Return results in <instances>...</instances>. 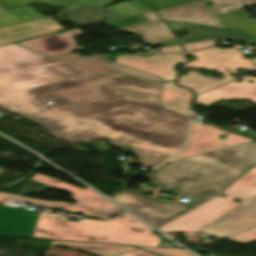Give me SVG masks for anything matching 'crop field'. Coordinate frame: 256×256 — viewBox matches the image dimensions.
I'll return each mask as SVG.
<instances>
[{"instance_id":"crop-field-1","label":"crop field","mask_w":256,"mask_h":256,"mask_svg":"<svg viewBox=\"0 0 256 256\" xmlns=\"http://www.w3.org/2000/svg\"><path fill=\"white\" fill-rule=\"evenodd\" d=\"M163 86L122 74L97 76L1 92L0 107L71 142L114 140L160 118Z\"/></svg>"},{"instance_id":"crop-field-2","label":"crop field","mask_w":256,"mask_h":256,"mask_svg":"<svg viewBox=\"0 0 256 256\" xmlns=\"http://www.w3.org/2000/svg\"><path fill=\"white\" fill-rule=\"evenodd\" d=\"M254 166L256 141L165 163L148 174L161 186V191H176L189 198L193 202L191 205L142 197L135 189L123 190L112 200L157 228L219 194ZM172 186L176 187L171 189ZM201 194L205 196L200 197Z\"/></svg>"},{"instance_id":"crop-field-3","label":"crop field","mask_w":256,"mask_h":256,"mask_svg":"<svg viewBox=\"0 0 256 256\" xmlns=\"http://www.w3.org/2000/svg\"><path fill=\"white\" fill-rule=\"evenodd\" d=\"M151 232V228L127 213L109 222L84 220L79 223L40 213L33 237L156 247L160 241Z\"/></svg>"},{"instance_id":"crop-field-4","label":"crop field","mask_w":256,"mask_h":256,"mask_svg":"<svg viewBox=\"0 0 256 256\" xmlns=\"http://www.w3.org/2000/svg\"><path fill=\"white\" fill-rule=\"evenodd\" d=\"M191 119L162 108L160 120L111 141L110 145L129 146L136 151L139 164L154 168L184 146Z\"/></svg>"},{"instance_id":"crop-field-5","label":"crop field","mask_w":256,"mask_h":256,"mask_svg":"<svg viewBox=\"0 0 256 256\" xmlns=\"http://www.w3.org/2000/svg\"><path fill=\"white\" fill-rule=\"evenodd\" d=\"M211 45L214 46V40L187 44L184 45V47L187 52ZM189 54L196 56L198 60L185 64L186 68L217 70L225 75L223 81L212 80L194 72H190L186 76H180L178 84L194 90L196 95L233 81L234 79L228 74H237L238 72L236 71V68L256 71V66L253 64L252 60L244 59V55L239 49H218L214 46L189 52Z\"/></svg>"},{"instance_id":"crop-field-6","label":"crop field","mask_w":256,"mask_h":256,"mask_svg":"<svg viewBox=\"0 0 256 256\" xmlns=\"http://www.w3.org/2000/svg\"><path fill=\"white\" fill-rule=\"evenodd\" d=\"M32 180H35L43 184L74 194L73 196H71V198L75 200L79 205H70L68 203H63V202H47V201H41L36 199L17 197L15 195L5 194V193H0V201L3 200L5 197H8V198H13L18 200H24V201H27L29 204L38 206V207H43L47 209L54 208V209L76 212V213L83 214L86 217L102 219V220L110 219L114 215L123 211L88 188L83 190L40 174H37ZM94 198H98V199L95 200Z\"/></svg>"},{"instance_id":"crop-field-7","label":"crop field","mask_w":256,"mask_h":256,"mask_svg":"<svg viewBox=\"0 0 256 256\" xmlns=\"http://www.w3.org/2000/svg\"><path fill=\"white\" fill-rule=\"evenodd\" d=\"M96 76L73 64L0 75V91Z\"/></svg>"},{"instance_id":"crop-field-8","label":"crop field","mask_w":256,"mask_h":256,"mask_svg":"<svg viewBox=\"0 0 256 256\" xmlns=\"http://www.w3.org/2000/svg\"><path fill=\"white\" fill-rule=\"evenodd\" d=\"M221 195L222 194H219L213 197L204 204L198 205L199 207L157 229L165 233L170 230L195 232L222 217L237 206L248 202L240 199L241 201L239 203H235L233 201V199H235L234 197L227 196V198H223Z\"/></svg>"},{"instance_id":"crop-field-9","label":"crop field","mask_w":256,"mask_h":256,"mask_svg":"<svg viewBox=\"0 0 256 256\" xmlns=\"http://www.w3.org/2000/svg\"><path fill=\"white\" fill-rule=\"evenodd\" d=\"M224 133H227V138L226 140H221L217 135ZM250 141L254 140L225 132L212 125H203L193 122L187 147L167 162Z\"/></svg>"},{"instance_id":"crop-field-10","label":"crop field","mask_w":256,"mask_h":256,"mask_svg":"<svg viewBox=\"0 0 256 256\" xmlns=\"http://www.w3.org/2000/svg\"><path fill=\"white\" fill-rule=\"evenodd\" d=\"M163 53L182 52L181 46L161 49ZM116 62L134 69L152 73L162 77L164 81L176 80L177 72L173 70L176 63L186 62L182 54L156 55L155 57L141 58L139 56H119Z\"/></svg>"},{"instance_id":"crop-field-11","label":"crop field","mask_w":256,"mask_h":256,"mask_svg":"<svg viewBox=\"0 0 256 256\" xmlns=\"http://www.w3.org/2000/svg\"><path fill=\"white\" fill-rule=\"evenodd\" d=\"M254 226H256V196L247 204L239 206L199 231L227 238Z\"/></svg>"},{"instance_id":"crop-field-12","label":"crop field","mask_w":256,"mask_h":256,"mask_svg":"<svg viewBox=\"0 0 256 256\" xmlns=\"http://www.w3.org/2000/svg\"><path fill=\"white\" fill-rule=\"evenodd\" d=\"M39 212L0 206V236L32 237Z\"/></svg>"},{"instance_id":"crop-field-13","label":"crop field","mask_w":256,"mask_h":256,"mask_svg":"<svg viewBox=\"0 0 256 256\" xmlns=\"http://www.w3.org/2000/svg\"><path fill=\"white\" fill-rule=\"evenodd\" d=\"M213 2L210 6L214 14L224 23L227 28H238L251 35L256 36V22L247 18L248 15L239 11L245 5L254 6L256 0H244L247 3H241L240 0H204Z\"/></svg>"},{"instance_id":"crop-field-14","label":"crop field","mask_w":256,"mask_h":256,"mask_svg":"<svg viewBox=\"0 0 256 256\" xmlns=\"http://www.w3.org/2000/svg\"><path fill=\"white\" fill-rule=\"evenodd\" d=\"M157 12L164 21H184L224 27L203 0L158 10Z\"/></svg>"},{"instance_id":"crop-field-15","label":"crop field","mask_w":256,"mask_h":256,"mask_svg":"<svg viewBox=\"0 0 256 256\" xmlns=\"http://www.w3.org/2000/svg\"><path fill=\"white\" fill-rule=\"evenodd\" d=\"M64 29L51 16L0 28V46Z\"/></svg>"},{"instance_id":"crop-field-16","label":"crop field","mask_w":256,"mask_h":256,"mask_svg":"<svg viewBox=\"0 0 256 256\" xmlns=\"http://www.w3.org/2000/svg\"><path fill=\"white\" fill-rule=\"evenodd\" d=\"M240 83L235 81L196 96V105H209L219 100L245 99L256 103V77L243 76ZM251 79L254 83L249 84Z\"/></svg>"},{"instance_id":"crop-field-17","label":"crop field","mask_w":256,"mask_h":256,"mask_svg":"<svg viewBox=\"0 0 256 256\" xmlns=\"http://www.w3.org/2000/svg\"><path fill=\"white\" fill-rule=\"evenodd\" d=\"M78 34H82V31L80 29H73L64 34H53L18 43L29 49L50 54L78 48L74 40V36Z\"/></svg>"},{"instance_id":"crop-field-18","label":"crop field","mask_w":256,"mask_h":256,"mask_svg":"<svg viewBox=\"0 0 256 256\" xmlns=\"http://www.w3.org/2000/svg\"><path fill=\"white\" fill-rule=\"evenodd\" d=\"M51 246H64L98 256H156L138 248L117 245L52 241Z\"/></svg>"},{"instance_id":"crop-field-19","label":"crop field","mask_w":256,"mask_h":256,"mask_svg":"<svg viewBox=\"0 0 256 256\" xmlns=\"http://www.w3.org/2000/svg\"><path fill=\"white\" fill-rule=\"evenodd\" d=\"M152 22L121 28L124 31H129L142 36L146 41L154 44L167 40L175 39L167 26L161 21L155 12L151 11L144 13Z\"/></svg>"},{"instance_id":"crop-field-20","label":"crop field","mask_w":256,"mask_h":256,"mask_svg":"<svg viewBox=\"0 0 256 256\" xmlns=\"http://www.w3.org/2000/svg\"><path fill=\"white\" fill-rule=\"evenodd\" d=\"M192 97L190 90L176 86L175 82L165 83L162 107L193 117L189 113V101Z\"/></svg>"},{"instance_id":"crop-field-21","label":"crop field","mask_w":256,"mask_h":256,"mask_svg":"<svg viewBox=\"0 0 256 256\" xmlns=\"http://www.w3.org/2000/svg\"><path fill=\"white\" fill-rule=\"evenodd\" d=\"M76 64H79V65H81L95 73L101 74V75L120 72V73L129 74V75L144 77V78H148V79L163 81L159 76L151 75V74L144 73V72H141L138 70H134V69H131L128 67H124V66L118 65L112 61H109L107 59L90 60V61H86V62H79Z\"/></svg>"},{"instance_id":"crop-field-22","label":"crop field","mask_w":256,"mask_h":256,"mask_svg":"<svg viewBox=\"0 0 256 256\" xmlns=\"http://www.w3.org/2000/svg\"><path fill=\"white\" fill-rule=\"evenodd\" d=\"M221 193L244 200H249L252 196L256 195V167L249 170L243 177Z\"/></svg>"},{"instance_id":"crop-field-23","label":"crop field","mask_w":256,"mask_h":256,"mask_svg":"<svg viewBox=\"0 0 256 256\" xmlns=\"http://www.w3.org/2000/svg\"><path fill=\"white\" fill-rule=\"evenodd\" d=\"M184 30L190 32L189 38L181 39L183 44L231 36L225 29H214L184 23H178Z\"/></svg>"},{"instance_id":"crop-field-24","label":"crop field","mask_w":256,"mask_h":256,"mask_svg":"<svg viewBox=\"0 0 256 256\" xmlns=\"http://www.w3.org/2000/svg\"><path fill=\"white\" fill-rule=\"evenodd\" d=\"M65 63H69V62H65L62 60L51 58L49 56H45V57H41V58H37V59H33V60L21 62V63L0 67V74L55 66V65L65 64Z\"/></svg>"},{"instance_id":"crop-field-25","label":"crop field","mask_w":256,"mask_h":256,"mask_svg":"<svg viewBox=\"0 0 256 256\" xmlns=\"http://www.w3.org/2000/svg\"><path fill=\"white\" fill-rule=\"evenodd\" d=\"M44 17L34 8H20L14 12H8L0 7V27L29 21Z\"/></svg>"},{"instance_id":"crop-field-26","label":"crop field","mask_w":256,"mask_h":256,"mask_svg":"<svg viewBox=\"0 0 256 256\" xmlns=\"http://www.w3.org/2000/svg\"><path fill=\"white\" fill-rule=\"evenodd\" d=\"M38 56L43 55L31 52L16 44H9L0 47V65Z\"/></svg>"},{"instance_id":"crop-field-27","label":"crop field","mask_w":256,"mask_h":256,"mask_svg":"<svg viewBox=\"0 0 256 256\" xmlns=\"http://www.w3.org/2000/svg\"><path fill=\"white\" fill-rule=\"evenodd\" d=\"M79 1L81 0H0V5H2L6 10H13L19 6L34 3L69 7Z\"/></svg>"},{"instance_id":"crop-field-28","label":"crop field","mask_w":256,"mask_h":256,"mask_svg":"<svg viewBox=\"0 0 256 256\" xmlns=\"http://www.w3.org/2000/svg\"><path fill=\"white\" fill-rule=\"evenodd\" d=\"M105 10L111 11L120 17H126V16H131V15L151 11V9H149L148 7H146L145 5H143L142 3L136 0L113 5L106 8Z\"/></svg>"},{"instance_id":"crop-field-29","label":"crop field","mask_w":256,"mask_h":256,"mask_svg":"<svg viewBox=\"0 0 256 256\" xmlns=\"http://www.w3.org/2000/svg\"><path fill=\"white\" fill-rule=\"evenodd\" d=\"M148 21H150L148 18H146L143 14H140V15H135V16L115 20V21L106 22L105 24H107L112 28H121V27L135 25V24L144 23Z\"/></svg>"},{"instance_id":"crop-field-30","label":"crop field","mask_w":256,"mask_h":256,"mask_svg":"<svg viewBox=\"0 0 256 256\" xmlns=\"http://www.w3.org/2000/svg\"><path fill=\"white\" fill-rule=\"evenodd\" d=\"M139 248L161 255V256H193L189 252L182 249L147 248V247H139Z\"/></svg>"},{"instance_id":"crop-field-31","label":"crop field","mask_w":256,"mask_h":256,"mask_svg":"<svg viewBox=\"0 0 256 256\" xmlns=\"http://www.w3.org/2000/svg\"><path fill=\"white\" fill-rule=\"evenodd\" d=\"M240 244H247L256 240V227L251 228L243 233L227 238Z\"/></svg>"},{"instance_id":"crop-field-32","label":"crop field","mask_w":256,"mask_h":256,"mask_svg":"<svg viewBox=\"0 0 256 256\" xmlns=\"http://www.w3.org/2000/svg\"><path fill=\"white\" fill-rule=\"evenodd\" d=\"M147 4L151 5L155 9L168 7L176 4H181L185 2H192L196 0H143Z\"/></svg>"},{"instance_id":"crop-field-33","label":"crop field","mask_w":256,"mask_h":256,"mask_svg":"<svg viewBox=\"0 0 256 256\" xmlns=\"http://www.w3.org/2000/svg\"><path fill=\"white\" fill-rule=\"evenodd\" d=\"M52 56L63 59V60H66V61H70V62H78V61H86V60H90V59H102L104 57H108V56H112V55L82 58V57L74 55L72 52L69 51V52L56 54V55H52Z\"/></svg>"},{"instance_id":"crop-field-34","label":"crop field","mask_w":256,"mask_h":256,"mask_svg":"<svg viewBox=\"0 0 256 256\" xmlns=\"http://www.w3.org/2000/svg\"><path fill=\"white\" fill-rule=\"evenodd\" d=\"M227 30L230 32V34H231L233 37H235V38H237V39L247 40V41H249V42H251V43H253V44L256 43V39H255V38H253V37H251V36H249V35H247V34L241 32V31H239V30H237V29H227Z\"/></svg>"},{"instance_id":"crop-field-35","label":"crop field","mask_w":256,"mask_h":256,"mask_svg":"<svg viewBox=\"0 0 256 256\" xmlns=\"http://www.w3.org/2000/svg\"><path fill=\"white\" fill-rule=\"evenodd\" d=\"M223 129L230 130V131H233V132L245 135L247 137H254V138H256V133L246 132V131H242V130H231L229 128H223Z\"/></svg>"},{"instance_id":"crop-field-36","label":"crop field","mask_w":256,"mask_h":256,"mask_svg":"<svg viewBox=\"0 0 256 256\" xmlns=\"http://www.w3.org/2000/svg\"><path fill=\"white\" fill-rule=\"evenodd\" d=\"M173 32L183 31V29L176 22H168L167 23Z\"/></svg>"},{"instance_id":"crop-field-37","label":"crop field","mask_w":256,"mask_h":256,"mask_svg":"<svg viewBox=\"0 0 256 256\" xmlns=\"http://www.w3.org/2000/svg\"><path fill=\"white\" fill-rule=\"evenodd\" d=\"M160 45L164 47H168V46L180 45V42L178 40H175V41H171V42L160 44Z\"/></svg>"},{"instance_id":"crop-field-38","label":"crop field","mask_w":256,"mask_h":256,"mask_svg":"<svg viewBox=\"0 0 256 256\" xmlns=\"http://www.w3.org/2000/svg\"><path fill=\"white\" fill-rule=\"evenodd\" d=\"M7 200H9L8 198H5L3 201H1L0 203H4L6 202Z\"/></svg>"},{"instance_id":"crop-field-39","label":"crop field","mask_w":256,"mask_h":256,"mask_svg":"<svg viewBox=\"0 0 256 256\" xmlns=\"http://www.w3.org/2000/svg\"><path fill=\"white\" fill-rule=\"evenodd\" d=\"M4 171H5V170L0 169V175H2Z\"/></svg>"},{"instance_id":"crop-field-40","label":"crop field","mask_w":256,"mask_h":256,"mask_svg":"<svg viewBox=\"0 0 256 256\" xmlns=\"http://www.w3.org/2000/svg\"><path fill=\"white\" fill-rule=\"evenodd\" d=\"M253 60V62L256 64V58H254V59H252Z\"/></svg>"}]
</instances>
